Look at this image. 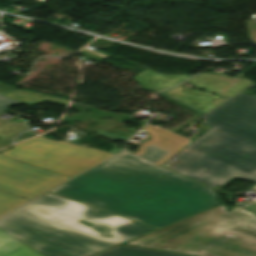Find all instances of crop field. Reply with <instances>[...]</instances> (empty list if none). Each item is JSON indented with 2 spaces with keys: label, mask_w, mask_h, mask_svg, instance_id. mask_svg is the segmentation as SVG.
Wrapping results in <instances>:
<instances>
[{
  "label": "crop field",
  "mask_w": 256,
  "mask_h": 256,
  "mask_svg": "<svg viewBox=\"0 0 256 256\" xmlns=\"http://www.w3.org/2000/svg\"><path fill=\"white\" fill-rule=\"evenodd\" d=\"M23 198L0 191V215L27 202Z\"/></svg>",
  "instance_id": "crop-field-13"
},
{
  "label": "crop field",
  "mask_w": 256,
  "mask_h": 256,
  "mask_svg": "<svg viewBox=\"0 0 256 256\" xmlns=\"http://www.w3.org/2000/svg\"><path fill=\"white\" fill-rule=\"evenodd\" d=\"M188 77L190 76L187 74L165 75L146 69L133 77V79L140 83L142 87L158 92L166 87L176 85Z\"/></svg>",
  "instance_id": "crop-field-10"
},
{
  "label": "crop field",
  "mask_w": 256,
  "mask_h": 256,
  "mask_svg": "<svg viewBox=\"0 0 256 256\" xmlns=\"http://www.w3.org/2000/svg\"><path fill=\"white\" fill-rule=\"evenodd\" d=\"M212 126L163 166L204 185L256 181V96L240 93L203 116Z\"/></svg>",
  "instance_id": "crop-field-3"
},
{
  "label": "crop field",
  "mask_w": 256,
  "mask_h": 256,
  "mask_svg": "<svg viewBox=\"0 0 256 256\" xmlns=\"http://www.w3.org/2000/svg\"><path fill=\"white\" fill-rule=\"evenodd\" d=\"M93 132H95V133H97V134H99V135H101V136H103V137H105V138H107V139H109V140H111L113 142L118 140V139L126 142L127 139H128V137H124V136L116 135V134H113V133L105 132L101 128H99V129H97V130H95Z\"/></svg>",
  "instance_id": "crop-field-14"
},
{
  "label": "crop field",
  "mask_w": 256,
  "mask_h": 256,
  "mask_svg": "<svg viewBox=\"0 0 256 256\" xmlns=\"http://www.w3.org/2000/svg\"><path fill=\"white\" fill-rule=\"evenodd\" d=\"M155 229L46 193L0 217V256H42L11 236L44 256H89Z\"/></svg>",
  "instance_id": "crop-field-2"
},
{
  "label": "crop field",
  "mask_w": 256,
  "mask_h": 256,
  "mask_svg": "<svg viewBox=\"0 0 256 256\" xmlns=\"http://www.w3.org/2000/svg\"><path fill=\"white\" fill-rule=\"evenodd\" d=\"M152 136L51 192L161 228L218 203L215 192L161 166L192 140L146 124Z\"/></svg>",
  "instance_id": "crop-field-1"
},
{
  "label": "crop field",
  "mask_w": 256,
  "mask_h": 256,
  "mask_svg": "<svg viewBox=\"0 0 256 256\" xmlns=\"http://www.w3.org/2000/svg\"><path fill=\"white\" fill-rule=\"evenodd\" d=\"M186 83L208 90L226 99L249 86L252 82L240 77L230 78L212 74L201 73Z\"/></svg>",
  "instance_id": "crop-field-8"
},
{
  "label": "crop field",
  "mask_w": 256,
  "mask_h": 256,
  "mask_svg": "<svg viewBox=\"0 0 256 256\" xmlns=\"http://www.w3.org/2000/svg\"><path fill=\"white\" fill-rule=\"evenodd\" d=\"M243 208L252 212V213H254V214H256V203L250 204V205H248L246 207H243Z\"/></svg>",
  "instance_id": "crop-field-16"
},
{
  "label": "crop field",
  "mask_w": 256,
  "mask_h": 256,
  "mask_svg": "<svg viewBox=\"0 0 256 256\" xmlns=\"http://www.w3.org/2000/svg\"><path fill=\"white\" fill-rule=\"evenodd\" d=\"M15 88L16 87L14 86L0 82V94L12 98L18 102L25 103L27 105L44 100L65 106L68 101L66 99L43 95L27 90H14Z\"/></svg>",
  "instance_id": "crop-field-11"
},
{
  "label": "crop field",
  "mask_w": 256,
  "mask_h": 256,
  "mask_svg": "<svg viewBox=\"0 0 256 256\" xmlns=\"http://www.w3.org/2000/svg\"><path fill=\"white\" fill-rule=\"evenodd\" d=\"M160 93L202 114L226 100L207 91L205 93L200 91L191 92L185 89L182 84Z\"/></svg>",
  "instance_id": "crop-field-9"
},
{
  "label": "crop field",
  "mask_w": 256,
  "mask_h": 256,
  "mask_svg": "<svg viewBox=\"0 0 256 256\" xmlns=\"http://www.w3.org/2000/svg\"><path fill=\"white\" fill-rule=\"evenodd\" d=\"M69 177L0 155V189L32 198Z\"/></svg>",
  "instance_id": "crop-field-7"
},
{
  "label": "crop field",
  "mask_w": 256,
  "mask_h": 256,
  "mask_svg": "<svg viewBox=\"0 0 256 256\" xmlns=\"http://www.w3.org/2000/svg\"><path fill=\"white\" fill-rule=\"evenodd\" d=\"M97 256H183L121 245Z\"/></svg>",
  "instance_id": "crop-field-12"
},
{
  "label": "crop field",
  "mask_w": 256,
  "mask_h": 256,
  "mask_svg": "<svg viewBox=\"0 0 256 256\" xmlns=\"http://www.w3.org/2000/svg\"><path fill=\"white\" fill-rule=\"evenodd\" d=\"M197 256H256V215L235 205L223 215Z\"/></svg>",
  "instance_id": "crop-field-5"
},
{
  "label": "crop field",
  "mask_w": 256,
  "mask_h": 256,
  "mask_svg": "<svg viewBox=\"0 0 256 256\" xmlns=\"http://www.w3.org/2000/svg\"><path fill=\"white\" fill-rule=\"evenodd\" d=\"M251 189L255 190L256 191V185L254 187H252Z\"/></svg>",
  "instance_id": "crop-field-18"
},
{
  "label": "crop field",
  "mask_w": 256,
  "mask_h": 256,
  "mask_svg": "<svg viewBox=\"0 0 256 256\" xmlns=\"http://www.w3.org/2000/svg\"><path fill=\"white\" fill-rule=\"evenodd\" d=\"M18 104V102L11 100L5 96L0 95V111L9 108L13 105Z\"/></svg>",
  "instance_id": "crop-field-15"
},
{
  "label": "crop field",
  "mask_w": 256,
  "mask_h": 256,
  "mask_svg": "<svg viewBox=\"0 0 256 256\" xmlns=\"http://www.w3.org/2000/svg\"><path fill=\"white\" fill-rule=\"evenodd\" d=\"M7 146L3 141L0 140V148Z\"/></svg>",
  "instance_id": "crop-field-17"
},
{
  "label": "crop field",
  "mask_w": 256,
  "mask_h": 256,
  "mask_svg": "<svg viewBox=\"0 0 256 256\" xmlns=\"http://www.w3.org/2000/svg\"><path fill=\"white\" fill-rule=\"evenodd\" d=\"M2 154L69 177L113 155L96 149L82 148L67 142H53L44 137H35L14 145L11 150Z\"/></svg>",
  "instance_id": "crop-field-4"
},
{
  "label": "crop field",
  "mask_w": 256,
  "mask_h": 256,
  "mask_svg": "<svg viewBox=\"0 0 256 256\" xmlns=\"http://www.w3.org/2000/svg\"><path fill=\"white\" fill-rule=\"evenodd\" d=\"M225 211L220 205L126 244L194 256Z\"/></svg>",
  "instance_id": "crop-field-6"
}]
</instances>
